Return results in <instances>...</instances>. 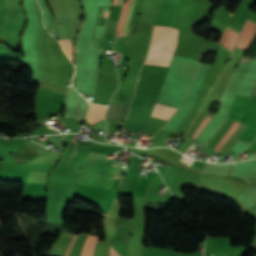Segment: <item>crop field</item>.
<instances>
[{
	"instance_id": "e52e79f7",
	"label": "crop field",
	"mask_w": 256,
	"mask_h": 256,
	"mask_svg": "<svg viewBox=\"0 0 256 256\" xmlns=\"http://www.w3.org/2000/svg\"><path fill=\"white\" fill-rule=\"evenodd\" d=\"M105 111V107L92 104L87 114L86 121L91 125L102 119V115ZM104 116V115H103Z\"/></svg>"
},
{
	"instance_id": "f4fd0767",
	"label": "crop field",
	"mask_w": 256,
	"mask_h": 256,
	"mask_svg": "<svg viewBox=\"0 0 256 256\" xmlns=\"http://www.w3.org/2000/svg\"><path fill=\"white\" fill-rule=\"evenodd\" d=\"M131 2H132V0H128L127 3L123 5V9H122L121 17H120V22H119V26H118L116 35H124L126 20H127L128 13H129V10H130ZM134 2H135V0H133V2H132L131 10H130L129 17H128V20H127L125 35H127L128 25H129L130 17H131V14H132Z\"/></svg>"
},
{
	"instance_id": "34b2d1b8",
	"label": "crop field",
	"mask_w": 256,
	"mask_h": 256,
	"mask_svg": "<svg viewBox=\"0 0 256 256\" xmlns=\"http://www.w3.org/2000/svg\"><path fill=\"white\" fill-rule=\"evenodd\" d=\"M246 127H247V125L234 122L233 125L230 127V129L226 132V134L219 141V143L215 146L214 150L226 153L227 150L230 148V146L233 144V142L240 137V135L243 133V131L246 129Z\"/></svg>"
},
{
	"instance_id": "28ad6ade",
	"label": "crop field",
	"mask_w": 256,
	"mask_h": 256,
	"mask_svg": "<svg viewBox=\"0 0 256 256\" xmlns=\"http://www.w3.org/2000/svg\"><path fill=\"white\" fill-rule=\"evenodd\" d=\"M109 15H110V13L105 12L103 17L108 18V17H109Z\"/></svg>"
},
{
	"instance_id": "d1516ede",
	"label": "crop field",
	"mask_w": 256,
	"mask_h": 256,
	"mask_svg": "<svg viewBox=\"0 0 256 256\" xmlns=\"http://www.w3.org/2000/svg\"><path fill=\"white\" fill-rule=\"evenodd\" d=\"M121 4H122V0H118L117 5H120V6H121Z\"/></svg>"
},
{
	"instance_id": "d8731c3e",
	"label": "crop field",
	"mask_w": 256,
	"mask_h": 256,
	"mask_svg": "<svg viewBox=\"0 0 256 256\" xmlns=\"http://www.w3.org/2000/svg\"><path fill=\"white\" fill-rule=\"evenodd\" d=\"M59 42H60L62 48L64 49L66 55L68 56V58L72 62V49H71L70 41L69 40H63V41H59Z\"/></svg>"
},
{
	"instance_id": "3316defc",
	"label": "crop field",
	"mask_w": 256,
	"mask_h": 256,
	"mask_svg": "<svg viewBox=\"0 0 256 256\" xmlns=\"http://www.w3.org/2000/svg\"><path fill=\"white\" fill-rule=\"evenodd\" d=\"M110 256H119L113 248H111Z\"/></svg>"
},
{
	"instance_id": "412701ff",
	"label": "crop field",
	"mask_w": 256,
	"mask_h": 256,
	"mask_svg": "<svg viewBox=\"0 0 256 256\" xmlns=\"http://www.w3.org/2000/svg\"><path fill=\"white\" fill-rule=\"evenodd\" d=\"M256 32V25L246 21L235 46L244 52Z\"/></svg>"
},
{
	"instance_id": "5a996713",
	"label": "crop field",
	"mask_w": 256,
	"mask_h": 256,
	"mask_svg": "<svg viewBox=\"0 0 256 256\" xmlns=\"http://www.w3.org/2000/svg\"><path fill=\"white\" fill-rule=\"evenodd\" d=\"M107 20H108V19L98 18L96 24L106 26Z\"/></svg>"
},
{
	"instance_id": "dd49c442",
	"label": "crop field",
	"mask_w": 256,
	"mask_h": 256,
	"mask_svg": "<svg viewBox=\"0 0 256 256\" xmlns=\"http://www.w3.org/2000/svg\"><path fill=\"white\" fill-rule=\"evenodd\" d=\"M175 111H176V108H172V107H168V106L156 103L151 115L168 120Z\"/></svg>"
},
{
	"instance_id": "ac0d7876",
	"label": "crop field",
	"mask_w": 256,
	"mask_h": 256,
	"mask_svg": "<svg viewBox=\"0 0 256 256\" xmlns=\"http://www.w3.org/2000/svg\"><path fill=\"white\" fill-rule=\"evenodd\" d=\"M74 237H75L74 235H68L66 233L61 232L56 243L54 244V246L52 248V255L53 256H66V251ZM77 237H78V235L72 241V243L67 251V256H69V252H70L72 245ZM97 240H98L97 237L88 235L86 241L84 242V244L82 246L80 256H92Z\"/></svg>"
},
{
	"instance_id": "8a807250",
	"label": "crop field",
	"mask_w": 256,
	"mask_h": 256,
	"mask_svg": "<svg viewBox=\"0 0 256 256\" xmlns=\"http://www.w3.org/2000/svg\"><path fill=\"white\" fill-rule=\"evenodd\" d=\"M178 30L155 26L148 57L144 64L168 66L175 51Z\"/></svg>"
}]
</instances>
